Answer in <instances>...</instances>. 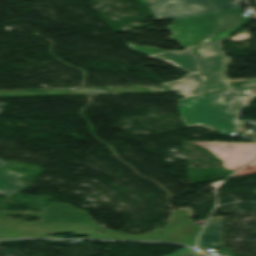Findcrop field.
<instances>
[{
	"label": "crop field",
	"mask_w": 256,
	"mask_h": 256,
	"mask_svg": "<svg viewBox=\"0 0 256 256\" xmlns=\"http://www.w3.org/2000/svg\"><path fill=\"white\" fill-rule=\"evenodd\" d=\"M7 213L13 212L0 211V238L41 237L45 234L53 233H81L88 235L89 238L115 239L105 230L103 234L95 232V228L99 227H95L91 222L83 218L48 207L45 208L44 213L22 212L38 216L41 218L40 221L25 222L18 219L6 218ZM9 224L12 226H8ZM25 225L30 227H24Z\"/></svg>",
	"instance_id": "1"
},
{
	"label": "crop field",
	"mask_w": 256,
	"mask_h": 256,
	"mask_svg": "<svg viewBox=\"0 0 256 256\" xmlns=\"http://www.w3.org/2000/svg\"><path fill=\"white\" fill-rule=\"evenodd\" d=\"M218 15L220 21L218 29L202 42L229 37L231 32L249 21V18L243 17L239 7L220 11ZM216 25V12L174 21L168 26V29L172 31L169 39L176 40L181 47L195 44L211 32Z\"/></svg>",
	"instance_id": "2"
},
{
	"label": "crop field",
	"mask_w": 256,
	"mask_h": 256,
	"mask_svg": "<svg viewBox=\"0 0 256 256\" xmlns=\"http://www.w3.org/2000/svg\"><path fill=\"white\" fill-rule=\"evenodd\" d=\"M48 207L55 208L67 213H71L90 220L97 226L88 216L87 213L72 209L66 204H50ZM171 220H167L168 228L154 229L150 233L144 235H131L121 232L107 230L108 233L117 238L125 240H159L172 241L194 246L195 235L200 230V227L194 226L188 221L187 209L170 211ZM102 228V227H101ZM121 234H124L123 236Z\"/></svg>",
	"instance_id": "3"
},
{
	"label": "crop field",
	"mask_w": 256,
	"mask_h": 256,
	"mask_svg": "<svg viewBox=\"0 0 256 256\" xmlns=\"http://www.w3.org/2000/svg\"><path fill=\"white\" fill-rule=\"evenodd\" d=\"M196 45L185 47L184 51H166L147 57L166 61L188 73L187 76L163 83L179 97H189L204 93L206 76L200 73L199 58L193 53Z\"/></svg>",
	"instance_id": "4"
},
{
	"label": "crop field",
	"mask_w": 256,
	"mask_h": 256,
	"mask_svg": "<svg viewBox=\"0 0 256 256\" xmlns=\"http://www.w3.org/2000/svg\"><path fill=\"white\" fill-rule=\"evenodd\" d=\"M179 112L186 126L206 124L220 134H230L237 130L232 117L222 114L205 104L204 94L178 101Z\"/></svg>",
	"instance_id": "5"
},
{
	"label": "crop field",
	"mask_w": 256,
	"mask_h": 256,
	"mask_svg": "<svg viewBox=\"0 0 256 256\" xmlns=\"http://www.w3.org/2000/svg\"><path fill=\"white\" fill-rule=\"evenodd\" d=\"M196 52L201 55L203 73L209 76L206 92L228 87L225 76V64L231 63L230 58L222 54L220 40L198 45Z\"/></svg>",
	"instance_id": "6"
},
{
	"label": "crop field",
	"mask_w": 256,
	"mask_h": 256,
	"mask_svg": "<svg viewBox=\"0 0 256 256\" xmlns=\"http://www.w3.org/2000/svg\"><path fill=\"white\" fill-rule=\"evenodd\" d=\"M145 2L156 19L179 20L215 11L208 0H145Z\"/></svg>",
	"instance_id": "7"
},
{
	"label": "crop field",
	"mask_w": 256,
	"mask_h": 256,
	"mask_svg": "<svg viewBox=\"0 0 256 256\" xmlns=\"http://www.w3.org/2000/svg\"><path fill=\"white\" fill-rule=\"evenodd\" d=\"M228 89L207 93L208 102L211 106L224 111L230 115H235L250 100L246 97H233L227 95Z\"/></svg>",
	"instance_id": "8"
},
{
	"label": "crop field",
	"mask_w": 256,
	"mask_h": 256,
	"mask_svg": "<svg viewBox=\"0 0 256 256\" xmlns=\"http://www.w3.org/2000/svg\"><path fill=\"white\" fill-rule=\"evenodd\" d=\"M6 162L7 161L0 159V167ZM19 175L20 174L0 168V195L7 196L26 187L15 179Z\"/></svg>",
	"instance_id": "9"
},
{
	"label": "crop field",
	"mask_w": 256,
	"mask_h": 256,
	"mask_svg": "<svg viewBox=\"0 0 256 256\" xmlns=\"http://www.w3.org/2000/svg\"><path fill=\"white\" fill-rule=\"evenodd\" d=\"M198 245L199 248L221 247L216 232L215 222L206 224L199 236Z\"/></svg>",
	"instance_id": "10"
},
{
	"label": "crop field",
	"mask_w": 256,
	"mask_h": 256,
	"mask_svg": "<svg viewBox=\"0 0 256 256\" xmlns=\"http://www.w3.org/2000/svg\"><path fill=\"white\" fill-rule=\"evenodd\" d=\"M126 44L131 50L137 51L145 55L166 51V50L155 48V47L138 46L131 43H126Z\"/></svg>",
	"instance_id": "11"
},
{
	"label": "crop field",
	"mask_w": 256,
	"mask_h": 256,
	"mask_svg": "<svg viewBox=\"0 0 256 256\" xmlns=\"http://www.w3.org/2000/svg\"><path fill=\"white\" fill-rule=\"evenodd\" d=\"M210 1L215 6L217 11L236 7L233 0H210Z\"/></svg>",
	"instance_id": "12"
},
{
	"label": "crop field",
	"mask_w": 256,
	"mask_h": 256,
	"mask_svg": "<svg viewBox=\"0 0 256 256\" xmlns=\"http://www.w3.org/2000/svg\"><path fill=\"white\" fill-rule=\"evenodd\" d=\"M211 221H216L218 236H219L220 243H221V239H222L221 217L210 218L208 222H211Z\"/></svg>",
	"instance_id": "13"
},
{
	"label": "crop field",
	"mask_w": 256,
	"mask_h": 256,
	"mask_svg": "<svg viewBox=\"0 0 256 256\" xmlns=\"http://www.w3.org/2000/svg\"><path fill=\"white\" fill-rule=\"evenodd\" d=\"M177 256H205V255H203V254H201L198 251L193 249V250L187 251L185 253L179 254Z\"/></svg>",
	"instance_id": "14"
},
{
	"label": "crop field",
	"mask_w": 256,
	"mask_h": 256,
	"mask_svg": "<svg viewBox=\"0 0 256 256\" xmlns=\"http://www.w3.org/2000/svg\"><path fill=\"white\" fill-rule=\"evenodd\" d=\"M190 249H191V248H189V247H184V248H182V249H179V250H177V251H174V252H172V253H169V254H167V255H165V256H174V255H176V254L185 252V251L190 250Z\"/></svg>",
	"instance_id": "15"
},
{
	"label": "crop field",
	"mask_w": 256,
	"mask_h": 256,
	"mask_svg": "<svg viewBox=\"0 0 256 256\" xmlns=\"http://www.w3.org/2000/svg\"><path fill=\"white\" fill-rule=\"evenodd\" d=\"M250 136L256 140V132L253 134H250Z\"/></svg>",
	"instance_id": "16"
},
{
	"label": "crop field",
	"mask_w": 256,
	"mask_h": 256,
	"mask_svg": "<svg viewBox=\"0 0 256 256\" xmlns=\"http://www.w3.org/2000/svg\"><path fill=\"white\" fill-rule=\"evenodd\" d=\"M3 104H4V103H0V106L3 105ZM0 112H1V110H0Z\"/></svg>",
	"instance_id": "17"
}]
</instances>
